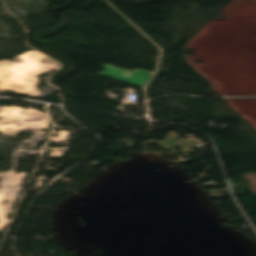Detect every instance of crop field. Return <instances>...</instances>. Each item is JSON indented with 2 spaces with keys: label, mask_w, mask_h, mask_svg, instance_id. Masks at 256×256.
Listing matches in <instances>:
<instances>
[{
  "label": "crop field",
  "mask_w": 256,
  "mask_h": 256,
  "mask_svg": "<svg viewBox=\"0 0 256 256\" xmlns=\"http://www.w3.org/2000/svg\"><path fill=\"white\" fill-rule=\"evenodd\" d=\"M102 68L106 69L96 75H100L106 78H110L113 80H117L120 82H124L130 85H134L137 87L143 88L145 83L148 81L150 76L152 75V72L145 71V70H134L131 72H134L135 74L131 76L130 78L120 75L123 71L128 70H122L116 67H112L109 65H103Z\"/></svg>",
  "instance_id": "8a807250"
},
{
  "label": "crop field",
  "mask_w": 256,
  "mask_h": 256,
  "mask_svg": "<svg viewBox=\"0 0 256 256\" xmlns=\"http://www.w3.org/2000/svg\"><path fill=\"white\" fill-rule=\"evenodd\" d=\"M122 75L130 77L131 75H133V73H131V72H124Z\"/></svg>",
  "instance_id": "ac0d7876"
},
{
  "label": "crop field",
  "mask_w": 256,
  "mask_h": 256,
  "mask_svg": "<svg viewBox=\"0 0 256 256\" xmlns=\"http://www.w3.org/2000/svg\"><path fill=\"white\" fill-rule=\"evenodd\" d=\"M189 143V142H188ZM184 144H186V143H184Z\"/></svg>",
  "instance_id": "34b2d1b8"
}]
</instances>
